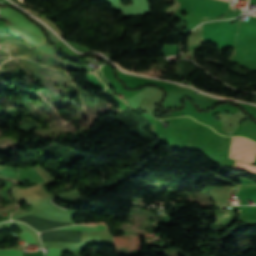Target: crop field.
Returning <instances> with one entry per match:
<instances>
[{
	"label": "crop field",
	"instance_id": "8a807250",
	"mask_svg": "<svg viewBox=\"0 0 256 256\" xmlns=\"http://www.w3.org/2000/svg\"><path fill=\"white\" fill-rule=\"evenodd\" d=\"M229 157L252 164L256 157V143L248 139L232 137Z\"/></svg>",
	"mask_w": 256,
	"mask_h": 256
},
{
	"label": "crop field",
	"instance_id": "ac0d7876",
	"mask_svg": "<svg viewBox=\"0 0 256 256\" xmlns=\"http://www.w3.org/2000/svg\"><path fill=\"white\" fill-rule=\"evenodd\" d=\"M107 228L105 224L101 225H81V226H71L62 228L61 230H75V231H100Z\"/></svg>",
	"mask_w": 256,
	"mask_h": 256
},
{
	"label": "crop field",
	"instance_id": "34b2d1b8",
	"mask_svg": "<svg viewBox=\"0 0 256 256\" xmlns=\"http://www.w3.org/2000/svg\"><path fill=\"white\" fill-rule=\"evenodd\" d=\"M234 169L256 172V166L240 163L237 161L235 163Z\"/></svg>",
	"mask_w": 256,
	"mask_h": 256
},
{
	"label": "crop field",
	"instance_id": "412701ff",
	"mask_svg": "<svg viewBox=\"0 0 256 256\" xmlns=\"http://www.w3.org/2000/svg\"><path fill=\"white\" fill-rule=\"evenodd\" d=\"M0 256H22L19 250H0Z\"/></svg>",
	"mask_w": 256,
	"mask_h": 256
},
{
	"label": "crop field",
	"instance_id": "f4fd0767",
	"mask_svg": "<svg viewBox=\"0 0 256 256\" xmlns=\"http://www.w3.org/2000/svg\"><path fill=\"white\" fill-rule=\"evenodd\" d=\"M20 235L26 242H32L35 243L34 239L32 238L31 234L21 232Z\"/></svg>",
	"mask_w": 256,
	"mask_h": 256
},
{
	"label": "crop field",
	"instance_id": "dd49c442",
	"mask_svg": "<svg viewBox=\"0 0 256 256\" xmlns=\"http://www.w3.org/2000/svg\"><path fill=\"white\" fill-rule=\"evenodd\" d=\"M48 251L49 254L47 256H60V250L58 249L49 248Z\"/></svg>",
	"mask_w": 256,
	"mask_h": 256
},
{
	"label": "crop field",
	"instance_id": "e52e79f7",
	"mask_svg": "<svg viewBox=\"0 0 256 256\" xmlns=\"http://www.w3.org/2000/svg\"><path fill=\"white\" fill-rule=\"evenodd\" d=\"M223 1H227V2H229V0H223Z\"/></svg>",
	"mask_w": 256,
	"mask_h": 256
}]
</instances>
